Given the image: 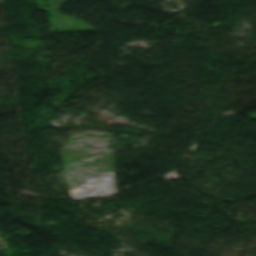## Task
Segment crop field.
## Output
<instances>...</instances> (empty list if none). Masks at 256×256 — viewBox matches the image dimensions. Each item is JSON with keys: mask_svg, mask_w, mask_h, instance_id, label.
Returning <instances> with one entry per match:
<instances>
[{"mask_svg": "<svg viewBox=\"0 0 256 256\" xmlns=\"http://www.w3.org/2000/svg\"><path fill=\"white\" fill-rule=\"evenodd\" d=\"M251 118L256 119V114H252V115H251Z\"/></svg>", "mask_w": 256, "mask_h": 256, "instance_id": "obj_1", "label": "crop field"}]
</instances>
